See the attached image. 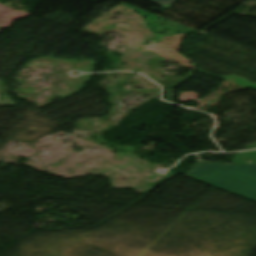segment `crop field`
<instances>
[{
  "instance_id": "obj_2",
  "label": "crop field",
  "mask_w": 256,
  "mask_h": 256,
  "mask_svg": "<svg viewBox=\"0 0 256 256\" xmlns=\"http://www.w3.org/2000/svg\"><path fill=\"white\" fill-rule=\"evenodd\" d=\"M150 1L160 4L166 8H168L169 5L173 2V0H150Z\"/></svg>"
},
{
  "instance_id": "obj_1",
  "label": "crop field",
  "mask_w": 256,
  "mask_h": 256,
  "mask_svg": "<svg viewBox=\"0 0 256 256\" xmlns=\"http://www.w3.org/2000/svg\"><path fill=\"white\" fill-rule=\"evenodd\" d=\"M185 175L256 200V165L209 163L200 160Z\"/></svg>"
}]
</instances>
